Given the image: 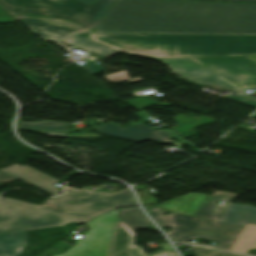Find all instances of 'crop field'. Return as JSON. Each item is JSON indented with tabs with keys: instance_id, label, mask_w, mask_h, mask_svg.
Wrapping results in <instances>:
<instances>
[{
	"instance_id": "1",
	"label": "crop field",
	"mask_w": 256,
	"mask_h": 256,
	"mask_svg": "<svg viewBox=\"0 0 256 256\" xmlns=\"http://www.w3.org/2000/svg\"><path fill=\"white\" fill-rule=\"evenodd\" d=\"M95 32L256 34V4L117 0Z\"/></svg>"
},
{
	"instance_id": "2",
	"label": "crop field",
	"mask_w": 256,
	"mask_h": 256,
	"mask_svg": "<svg viewBox=\"0 0 256 256\" xmlns=\"http://www.w3.org/2000/svg\"><path fill=\"white\" fill-rule=\"evenodd\" d=\"M122 206H137L129 189L106 193L66 186L63 196L49 199L41 206L0 197V234L69 221L85 223L95 215Z\"/></svg>"
},
{
	"instance_id": "3",
	"label": "crop field",
	"mask_w": 256,
	"mask_h": 256,
	"mask_svg": "<svg viewBox=\"0 0 256 256\" xmlns=\"http://www.w3.org/2000/svg\"><path fill=\"white\" fill-rule=\"evenodd\" d=\"M87 38L150 59L256 55V35L89 34Z\"/></svg>"
},
{
	"instance_id": "4",
	"label": "crop field",
	"mask_w": 256,
	"mask_h": 256,
	"mask_svg": "<svg viewBox=\"0 0 256 256\" xmlns=\"http://www.w3.org/2000/svg\"><path fill=\"white\" fill-rule=\"evenodd\" d=\"M180 76L230 90L256 87V56L162 59Z\"/></svg>"
},
{
	"instance_id": "5",
	"label": "crop field",
	"mask_w": 256,
	"mask_h": 256,
	"mask_svg": "<svg viewBox=\"0 0 256 256\" xmlns=\"http://www.w3.org/2000/svg\"><path fill=\"white\" fill-rule=\"evenodd\" d=\"M115 1L98 0L87 5L76 0H0V6L11 15L66 19L95 30Z\"/></svg>"
},
{
	"instance_id": "6",
	"label": "crop field",
	"mask_w": 256,
	"mask_h": 256,
	"mask_svg": "<svg viewBox=\"0 0 256 256\" xmlns=\"http://www.w3.org/2000/svg\"><path fill=\"white\" fill-rule=\"evenodd\" d=\"M116 215L117 211L106 213L86 223L89 232L63 255L56 256H107Z\"/></svg>"
},
{
	"instance_id": "7",
	"label": "crop field",
	"mask_w": 256,
	"mask_h": 256,
	"mask_svg": "<svg viewBox=\"0 0 256 256\" xmlns=\"http://www.w3.org/2000/svg\"><path fill=\"white\" fill-rule=\"evenodd\" d=\"M18 21L27 26L46 41L57 43L78 32L93 30L78 26L66 20L15 15Z\"/></svg>"
},
{
	"instance_id": "8",
	"label": "crop field",
	"mask_w": 256,
	"mask_h": 256,
	"mask_svg": "<svg viewBox=\"0 0 256 256\" xmlns=\"http://www.w3.org/2000/svg\"><path fill=\"white\" fill-rule=\"evenodd\" d=\"M147 212L160 228L171 226V231L166 232V234L172 241L187 243L189 240H196L197 230L201 219L173 212H170L167 215L165 209L158 207L149 209Z\"/></svg>"
},
{
	"instance_id": "9",
	"label": "crop field",
	"mask_w": 256,
	"mask_h": 256,
	"mask_svg": "<svg viewBox=\"0 0 256 256\" xmlns=\"http://www.w3.org/2000/svg\"><path fill=\"white\" fill-rule=\"evenodd\" d=\"M136 234L116 217L108 256H178L176 252L157 250L154 255L143 254L141 247L133 246Z\"/></svg>"
},
{
	"instance_id": "10",
	"label": "crop field",
	"mask_w": 256,
	"mask_h": 256,
	"mask_svg": "<svg viewBox=\"0 0 256 256\" xmlns=\"http://www.w3.org/2000/svg\"><path fill=\"white\" fill-rule=\"evenodd\" d=\"M142 120L138 123L130 122V126L121 128L116 124H104L95 130L97 132L108 134L124 139H129L132 141L141 142L142 140L151 139L155 142H160L164 144H169L175 141H170V136L165 133L162 129L154 131L143 124V122L148 121L144 116L136 113Z\"/></svg>"
},
{
	"instance_id": "11",
	"label": "crop field",
	"mask_w": 256,
	"mask_h": 256,
	"mask_svg": "<svg viewBox=\"0 0 256 256\" xmlns=\"http://www.w3.org/2000/svg\"><path fill=\"white\" fill-rule=\"evenodd\" d=\"M241 230V227L215 223L202 219L199 226L197 238L220 242V244L218 247L202 244L197 245L228 251L240 234Z\"/></svg>"
},
{
	"instance_id": "12",
	"label": "crop field",
	"mask_w": 256,
	"mask_h": 256,
	"mask_svg": "<svg viewBox=\"0 0 256 256\" xmlns=\"http://www.w3.org/2000/svg\"><path fill=\"white\" fill-rule=\"evenodd\" d=\"M10 175H13L20 180L34 185L50 194L59 195V189L53 185L57 180L27 166L14 164L8 168L0 169Z\"/></svg>"
},
{
	"instance_id": "13",
	"label": "crop field",
	"mask_w": 256,
	"mask_h": 256,
	"mask_svg": "<svg viewBox=\"0 0 256 256\" xmlns=\"http://www.w3.org/2000/svg\"><path fill=\"white\" fill-rule=\"evenodd\" d=\"M234 197V194L214 191L212 196H207L204 199L195 216L218 222ZM219 201H223L225 204H218Z\"/></svg>"
},
{
	"instance_id": "14",
	"label": "crop field",
	"mask_w": 256,
	"mask_h": 256,
	"mask_svg": "<svg viewBox=\"0 0 256 256\" xmlns=\"http://www.w3.org/2000/svg\"><path fill=\"white\" fill-rule=\"evenodd\" d=\"M219 222L241 227H244L246 223L256 225V207L230 204Z\"/></svg>"
},
{
	"instance_id": "15",
	"label": "crop field",
	"mask_w": 256,
	"mask_h": 256,
	"mask_svg": "<svg viewBox=\"0 0 256 256\" xmlns=\"http://www.w3.org/2000/svg\"><path fill=\"white\" fill-rule=\"evenodd\" d=\"M25 246V231L0 235V256H15L19 254L21 249Z\"/></svg>"
},
{
	"instance_id": "16",
	"label": "crop field",
	"mask_w": 256,
	"mask_h": 256,
	"mask_svg": "<svg viewBox=\"0 0 256 256\" xmlns=\"http://www.w3.org/2000/svg\"><path fill=\"white\" fill-rule=\"evenodd\" d=\"M63 43L75 45L87 52L93 51L101 56L108 55V54H111V53L117 51V50L108 48L106 46H103L99 43H96L94 41H91L87 38H84L80 35L74 36V37L64 41Z\"/></svg>"
},
{
	"instance_id": "17",
	"label": "crop field",
	"mask_w": 256,
	"mask_h": 256,
	"mask_svg": "<svg viewBox=\"0 0 256 256\" xmlns=\"http://www.w3.org/2000/svg\"><path fill=\"white\" fill-rule=\"evenodd\" d=\"M252 248H256V226L247 224L231 250L247 253Z\"/></svg>"
},
{
	"instance_id": "18",
	"label": "crop field",
	"mask_w": 256,
	"mask_h": 256,
	"mask_svg": "<svg viewBox=\"0 0 256 256\" xmlns=\"http://www.w3.org/2000/svg\"><path fill=\"white\" fill-rule=\"evenodd\" d=\"M118 216L123 219L132 230L148 227L149 219L140 209H124L118 211Z\"/></svg>"
},
{
	"instance_id": "19",
	"label": "crop field",
	"mask_w": 256,
	"mask_h": 256,
	"mask_svg": "<svg viewBox=\"0 0 256 256\" xmlns=\"http://www.w3.org/2000/svg\"><path fill=\"white\" fill-rule=\"evenodd\" d=\"M19 128L20 130L67 132L68 123H58V122H50V121L20 122Z\"/></svg>"
},
{
	"instance_id": "20",
	"label": "crop field",
	"mask_w": 256,
	"mask_h": 256,
	"mask_svg": "<svg viewBox=\"0 0 256 256\" xmlns=\"http://www.w3.org/2000/svg\"><path fill=\"white\" fill-rule=\"evenodd\" d=\"M128 74H129V72H127V71H120V72H117V73H114V74L107 75V76H105V78L109 82H112V83H120V82L125 81V80H127L129 83L142 81L141 77L137 78V79L133 78L134 80L129 79Z\"/></svg>"
},
{
	"instance_id": "21",
	"label": "crop field",
	"mask_w": 256,
	"mask_h": 256,
	"mask_svg": "<svg viewBox=\"0 0 256 256\" xmlns=\"http://www.w3.org/2000/svg\"><path fill=\"white\" fill-rule=\"evenodd\" d=\"M248 97H251V98H254V99H247ZM226 98L242 102V103L247 104L249 106L256 107V97H254V96H246V95H236V96H233V95H230V96H228Z\"/></svg>"
},
{
	"instance_id": "22",
	"label": "crop field",
	"mask_w": 256,
	"mask_h": 256,
	"mask_svg": "<svg viewBox=\"0 0 256 256\" xmlns=\"http://www.w3.org/2000/svg\"><path fill=\"white\" fill-rule=\"evenodd\" d=\"M83 68L86 69L92 75L98 74L106 70L103 67L99 66L96 62H87V65Z\"/></svg>"
},
{
	"instance_id": "23",
	"label": "crop field",
	"mask_w": 256,
	"mask_h": 256,
	"mask_svg": "<svg viewBox=\"0 0 256 256\" xmlns=\"http://www.w3.org/2000/svg\"><path fill=\"white\" fill-rule=\"evenodd\" d=\"M189 249L195 256H202L212 251V249H206V248H200V247H194V246H190Z\"/></svg>"
},
{
	"instance_id": "24",
	"label": "crop field",
	"mask_w": 256,
	"mask_h": 256,
	"mask_svg": "<svg viewBox=\"0 0 256 256\" xmlns=\"http://www.w3.org/2000/svg\"><path fill=\"white\" fill-rule=\"evenodd\" d=\"M14 180L18 179L0 171V185Z\"/></svg>"
},
{
	"instance_id": "25",
	"label": "crop field",
	"mask_w": 256,
	"mask_h": 256,
	"mask_svg": "<svg viewBox=\"0 0 256 256\" xmlns=\"http://www.w3.org/2000/svg\"><path fill=\"white\" fill-rule=\"evenodd\" d=\"M204 256H242V255L230 254V253H227L225 251L214 250V251H212L209 254L204 255Z\"/></svg>"
},
{
	"instance_id": "26",
	"label": "crop field",
	"mask_w": 256,
	"mask_h": 256,
	"mask_svg": "<svg viewBox=\"0 0 256 256\" xmlns=\"http://www.w3.org/2000/svg\"><path fill=\"white\" fill-rule=\"evenodd\" d=\"M33 132H39V131H33ZM39 133H44L49 136L59 137V138H64L67 135V133H58V132H39Z\"/></svg>"
},
{
	"instance_id": "27",
	"label": "crop field",
	"mask_w": 256,
	"mask_h": 256,
	"mask_svg": "<svg viewBox=\"0 0 256 256\" xmlns=\"http://www.w3.org/2000/svg\"><path fill=\"white\" fill-rule=\"evenodd\" d=\"M212 1H229V2H256V0H212Z\"/></svg>"
},
{
	"instance_id": "28",
	"label": "crop field",
	"mask_w": 256,
	"mask_h": 256,
	"mask_svg": "<svg viewBox=\"0 0 256 256\" xmlns=\"http://www.w3.org/2000/svg\"><path fill=\"white\" fill-rule=\"evenodd\" d=\"M79 1L89 4V3H92L96 0H79Z\"/></svg>"
}]
</instances>
